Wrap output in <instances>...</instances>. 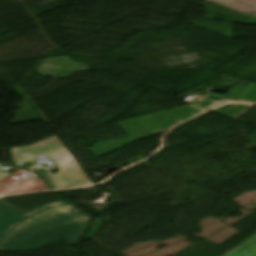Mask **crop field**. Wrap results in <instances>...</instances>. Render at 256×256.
I'll return each mask as SVG.
<instances>
[{
  "mask_svg": "<svg viewBox=\"0 0 256 256\" xmlns=\"http://www.w3.org/2000/svg\"><path fill=\"white\" fill-rule=\"evenodd\" d=\"M1 166V164H0ZM10 173H0V181L5 178L7 175H9Z\"/></svg>",
  "mask_w": 256,
  "mask_h": 256,
  "instance_id": "412701ff",
  "label": "crop field"
},
{
  "mask_svg": "<svg viewBox=\"0 0 256 256\" xmlns=\"http://www.w3.org/2000/svg\"><path fill=\"white\" fill-rule=\"evenodd\" d=\"M91 222L69 201L25 213L0 199V251L40 249L52 240L76 245Z\"/></svg>",
  "mask_w": 256,
  "mask_h": 256,
  "instance_id": "8a807250",
  "label": "crop field"
},
{
  "mask_svg": "<svg viewBox=\"0 0 256 256\" xmlns=\"http://www.w3.org/2000/svg\"><path fill=\"white\" fill-rule=\"evenodd\" d=\"M226 256H256V236Z\"/></svg>",
  "mask_w": 256,
  "mask_h": 256,
  "instance_id": "34b2d1b8",
  "label": "crop field"
},
{
  "mask_svg": "<svg viewBox=\"0 0 256 256\" xmlns=\"http://www.w3.org/2000/svg\"><path fill=\"white\" fill-rule=\"evenodd\" d=\"M11 149L14 163L28 162L42 155L50 157L60 168L53 176L61 189L92 184L56 136L30 147Z\"/></svg>",
  "mask_w": 256,
  "mask_h": 256,
  "instance_id": "ac0d7876",
  "label": "crop field"
}]
</instances>
